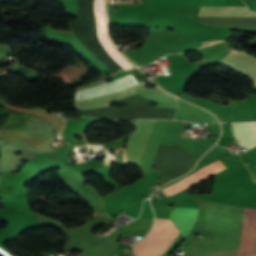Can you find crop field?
I'll list each match as a JSON object with an SVG mask.
<instances>
[{"mask_svg":"<svg viewBox=\"0 0 256 256\" xmlns=\"http://www.w3.org/2000/svg\"><path fill=\"white\" fill-rule=\"evenodd\" d=\"M136 84L138 83L134 80V78L131 75H129V76L120 78L118 80L108 82V83H103L83 91H77L75 95V101H81V100L105 96L107 94L122 91L126 88H131ZM131 89L135 91L138 95L144 97L149 101L160 103L167 108L177 107V103L174 97L166 94L165 92L157 88L145 89L140 84ZM131 89H127L125 91L107 95L101 98L75 102V106L77 109H80V110L107 107L108 106L107 104L109 103L120 101L125 98L136 95V93L133 92Z\"/></svg>","mask_w":256,"mask_h":256,"instance_id":"crop-field-1","label":"crop field"},{"mask_svg":"<svg viewBox=\"0 0 256 256\" xmlns=\"http://www.w3.org/2000/svg\"><path fill=\"white\" fill-rule=\"evenodd\" d=\"M224 169H226V167L223 165V163L220 160H218V161H216L210 165H207V166L201 168L200 170L192 173L191 175L180 180L179 182L162 189V191L164 192V194L166 196H172V195H174V194H176L194 184H197V183L207 179L208 177L213 176L217 172L224 170Z\"/></svg>","mask_w":256,"mask_h":256,"instance_id":"crop-field-5","label":"crop field"},{"mask_svg":"<svg viewBox=\"0 0 256 256\" xmlns=\"http://www.w3.org/2000/svg\"><path fill=\"white\" fill-rule=\"evenodd\" d=\"M192 211H193V208H173V210L169 216L170 219L174 222V224L181 230L182 233L192 216ZM197 211H198V209L194 208L193 216H192L185 232L183 233L185 237L189 233L190 228L193 226V223L196 220Z\"/></svg>","mask_w":256,"mask_h":256,"instance_id":"crop-field-9","label":"crop field"},{"mask_svg":"<svg viewBox=\"0 0 256 256\" xmlns=\"http://www.w3.org/2000/svg\"><path fill=\"white\" fill-rule=\"evenodd\" d=\"M247 166L251 172L253 180L256 182V160L247 163Z\"/></svg>","mask_w":256,"mask_h":256,"instance_id":"crop-field-11","label":"crop field"},{"mask_svg":"<svg viewBox=\"0 0 256 256\" xmlns=\"http://www.w3.org/2000/svg\"><path fill=\"white\" fill-rule=\"evenodd\" d=\"M170 222V220L156 219V223L152 231L141 242L133 246V252L136 254V256H141L144 252H146L162 234ZM179 233L180 232L178 229L171 222L163 234L154 243V245L142 256L161 255L171 245Z\"/></svg>","mask_w":256,"mask_h":256,"instance_id":"crop-field-2","label":"crop field"},{"mask_svg":"<svg viewBox=\"0 0 256 256\" xmlns=\"http://www.w3.org/2000/svg\"><path fill=\"white\" fill-rule=\"evenodd\" d=\"M256 253V210H244L243 228L239 256H249Z\"/></svg>","mask_w":256,"mask_h":256,"instance_id":"crop-field-6","label":"crop field"},{"mask_svg":"<svg viewBox=\"0 0 256 256\" xmlns=\"http://www.w3.org/2000/svg\"><path fill=\"white\" fill-rule=\"evenodd\" d=\"M179 108L174 118L190 121V122H202L212 123L218 122L217 119L209 112L200 109L192 104L179 100Z\"/></svg>","mask_w":256,"mask_h":256,"instance_id":"crop-field-7","label":"crop field"},{"mask_svg":"<svg viewBox=\"0 0 256 256\" xmlns=\"http://www.w3.org/2000/svg\"><path fill=\"white\" fill-rule=\"evenodd\" d=\"M222 16H256V12L248 11L247 7H200L199 15Z\"/></svg>","mask_w":256,"mask_h":256,"instance_id":"crop-field-10","label":"crop field"},{"mask_svg":"<svg viewBox=\"0 0 256 256\" xmlns=\"http://www.w3.org/2000/svg\"><path fill=\"white\" fill-rule=\"evenodd\" d=\"M155 121H131L136 126V130L130 134L129 144L126 146L127 164L139 167L142 152L150 137Z\"/></svg>","mask_w":256,"mask_h":256,"instance_id":"crop-field-3","label":"crop field"},{"mask_svg":"<svg viewBox=\"0 0 256 256\" xmlns=\"http://www.w3.org/2000/svg\"><path fill=\"white\" fill-rule=\"evenodd\" d=\"M218 65L230 68L256 82V58L242 52L231 51Z\"/></svg>","mask_w":256,"mask_h":256,"instance_id":"crop-field-4","label":"crop field"},{"mask_svg":"<svg viewBox=\"0 0 256 256\" xmlns=\"http://www.w3.org/2000/svg\"><path fill=\"white\" fill-rule=\"evenodd\" d=\"M238 145L251 149L256 146V122L232 123Z\"/></svg>","mask_w":256,"mask_h":256,"instance_id":"crop-field-8","label":"crop field"}]
</instances>
